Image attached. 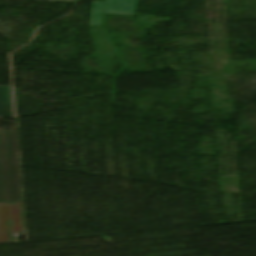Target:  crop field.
Listing matches in <instances>:
<instances>
[{
  "label": "crop field",
  "mask_w": 256,
  "mask_h": 256,
  "mask_svg": "<svg viewBox=\"0 0 256 256\" xmlns=\"http://www.w3.org/2000/svg\"><path fill=\"white\" fill-rule=\"evenodd\" d=\"M0 203H20L15 131L0 130Z\"/></svg>",
  "instance_id": "1"
},
{
  "label": "crop field",
  "mask_w": 256,
  "mask_h": 256,
  "mask_svg": "<svg viewBox=\"0 0 256 256\" xmlns=\"http://www.w3.org/2000/svg\"><path fill=\"white\" fill-rule=\"evenodd\" d=\"M22 232L20 204H0V243L13 242Z\"/></svg>",
  "instance_id": "2"
},
{
  "label": "crop field",
  "mask_w": 256,
  "mask_h": 256,
  "mask_svg": "<svg viewBox=\"0 0 256 256\" xmlns=\"http://www.w3.org/2000/svg\"><path fill=\"white\" fill-rule=\"evenodd\" d=\"M103 3H105L104 13L134 15L137 0L94 1L90 26L101 25Z\"/></svg>",
  "instance_id": "3"
},
{
  "label": "crop field",
  "mask_w": 256,
  "mask_h": 256,
  "mask_svg": "<svg viewBox=\"0 0 256 256\" xmlns=\"http://www.w3.org/2000/svg\"><path fill=\"white\" fill-rule=\"evenodd\" d=\"M0 117H14L11 87H0Z\"/></svg>",
  "instance_id": "4"
},
{
  "label": "crop field",
  "mask_w": 256,
  "mask_h": 256,
  "mask_svg": "<svg viewBox=\"0 0 256 256\" xmlns=\"http://www.w3.org/2000/svg\"><path fill=\"white\" fill-rule=\"evenodd\" d=\"M30 1L77 2L78 0H30Z\"/></svg>",
  "instance_id": "5"
}]
</instances>
